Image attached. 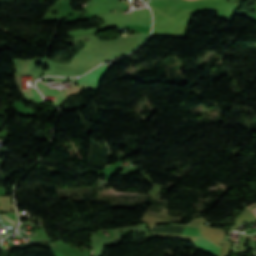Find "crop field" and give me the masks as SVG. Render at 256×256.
<instances>
[{"label":"crop field","mask_w":256,"mask_h":256,"mask_svg":"<svg viewBox=\"0 0 256 256\" xmlns=\"http://www.w3.org/2000/svg\"><path fill=\"white\" fill-rule=\"evenodd\" d=\"M182 234V233H181ZM183 234H188V235H194V236H201L199 229L197 228H190L186 227ZM197 237L194 246H196L198 249L204 252H210L213 253L214 256H218L220 247H216L209 241H206L204 238Z\"/></svg>","instance_id":"crop-field-1"},{"label":"crop field","mask_w":256,"mask_h":256,"mask_svg":"<svg viewBox=\"0 0 256 256\" xmlns=\"http://www.w3.org/2000/svg\"><path fill=\"white\" fill-rule=\"evenodd\" d=\"M107 67L108 66L103 64L102 66L93 70L89 74L81 77L79 80H77V82L79 83V85H84V86H88V87L97 89L98 83H99L100 79L102 78V76L104 75Z\"/></svg>","instance_id":"crop-field-2"},{"label":"crop field","mask_w":256,"mask_h":256,"mask_svg":"<svg viewBox=\"0 0 256 256\" xmlns=\"http://www.w3.org/2000/svg\"><path fill=\"white\" fill-rule=\"evenodd\" d=\"M36 87L40 90L42 95L53 96L52 101L54 102L55 106H57V104L66 97L63 92L48 89L46 85L40 84L39 82H37Z\"/></svg>","instance_id":"crop-field-3"},{"label":"crop field","mask_w":256,"mask_h":256,"mask_svg":"<svg viewBox=\"0 0 256 256\" xmlns=\"http://www.w3.org/2000/svg\"><path fill=\"white\" fill-rule=\"evenodd\" d=\"M25 97L30 101L31 99H34V103H42V98L40 96V94L38 93V91L36 89H32L31 91L28 92H22Z\"/></svg>","instance_id":"crop-field-4"},{"label":"crop field","mask_w":256,"mask_h":256,"mask_svg":"<svg viewBox=\"0 0 256 256\" xmlns=\"http://www.w3.org/2000/svg\"><path fill=\"white\" fill-rule=\"evenodd\" d=\"M254 204L249 205L248 209L252 207ZM251 213L256 217V205L249 209Z\"/></svg>","instance_id":"crop-field-5"}]
</instances>
